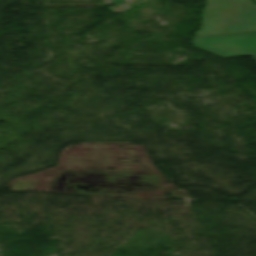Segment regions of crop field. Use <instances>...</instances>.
<instances>
[{"label":"crop field","mask_w":256,"mask_h":256,"mask_svg":"<svg viewBox=\"0 0 256 256\" xmlns=\"http://www.w3.org/2000/svg\"><path fill=\"white\" fill-rule=\"evenodd\" d=\"M193 44L223 57L251 56L256 62V33L198 37Z\"/></svg>","instance_id":"obj_2"},{"label":"crop field","mask_w":256,"mask_h":256,"mask_svg":"<svg viewBox=\"0 0 256 256\" xmlns=\"http://www.w3.org/2000/svg\"><path fill=\"white\" fill-rule=\"evenodd\" d=\"M255 2H256V0H255Z\"/></svg>","instance_id":"obj_4"},{"label":"crop field","mask_w":256,"mask_h":256,"mask_svg":"<svg viewBox=\"0 0 256 256\" xmlns=\"http://www.w3.org/2000/svg\"><path fill=\"white\" fill-rule=\"evenodd\" d=\"M110 3H120V4H124L127 3L126 0H109Z\"/></svg>","instance_id":"obj_3"},{"label":"crop field","mask_w":256,"mask_h":256,"mask_svg":"<svg viewBox=\"0 0 256 256\" xmlns=\"http://www.w3.org/2000/svg\"><path fill=\"white\" fill-rule=\"evenodd\" d=\"M256 31V4L251 0H209L195 36Z\"/></svg>","instance_id":"obj_1"}]
</instances>
